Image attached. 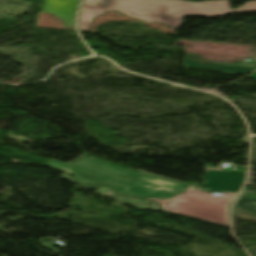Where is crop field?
<instances>
[{
	"instance_id": "obj_1",
	"label": "crop field",
	"mask_w": 256,
	"mask_h": 256,
	"mask_svg": "<svg viewBox=\"0 0 256 256\" xmlns=\"http://www.w3.org/2000/svg\"><path fill=\"white\" fill-rule=\"evenodd\" d=\"M45 165L69 173L78 183L114 184L125 189L121 195L167 200L164 211L229 226V206L235 193L218 197L195 189L185 193L188 185L136 175L85 156L68 165L54 160Z\"/></svg>"
},
{
	"instance_id": "obj_2",
	"label": "crop field",
	"mask_w": 256,
	"mask_h": 256,
	"mask_svg": "<svg viewBox=\"0 0 256 256\" xmlns=\"http://www.w3.org/2000/svg\"><path fill=\"white\" fill-rule=\"evenodd\" d=\"M108 10L147 23L160 22L175 29L183 22V16L216 17L233 12H252L256 11V1L247 2L237 10H230L229 1L189 3L182 0H84L78 20L79 28L88 31L92 18Z\"/></svg>"
},
{
	"instance_id": "obj_3",
	"label": "crop field",
	"mask_w": 256,
	"mask_h": 256,
	"mask_svg": "<svg viewBox=\"0 0 256 256\" xmlns=\"http://www.w3.org/2000/svg\"><path fill=\"white\" fill-rule=\"evenodd\" d=\"M245 172L206 171L207 186L211 191L237 192Z\"/></svg>"
},
{
	"instance_id": "obj_4",
	"label": "crop field",
	"mask_w": 256,
	"mask_h": 256,
	"mask_svg": "<svg viewBox=\"0 0 256 256\" xmlns=\"http://www.w3.org/2000/svg\"><path fill=\"white\" fill-rule=\"evenodd\" d=\"M78 2L79 0H46L42 12L53 14L59 19H63L65 27H74L73 21Z\"/></svg>"
},
{
	"instance_id": "obj_5",
	"label": "crop field",
	"mask_w": 256,
	"mask_h": 256,
	"mask_svg": "<svg viewBox=\"0 0 256 256\" xmlns=\"http://www.w3.org/2000/svg\"><path fill=\"white\" fill-rule=\"evenodd\" d=\"M235 207L249 211L256 215V194L244 189Z\"/></svg>"
},
{
	"instance_id": "obj_6",
	"label": "crop field",
	"mask_w": 256,
	"mask_h": 256,
	"mask_svg": "<svg viewBox=\"0 0 256 256\" xmlns=\"http://www.w3.org/2000/svg\"><path fill=\"white\" fill-rule=\"evenodd\" d=\"M143 199H144V198H143ZM148 200H151V201H154V202H157V203L161 204V205H162V208H163V203L165 202V201H163V200H154V199H148Z\"/></svg>"
},
{
	"instance_id": "obj_7",
	"label": "crop field",
	"mask_w": 256,
	"mask_h": 256,
	"mask_svg": "<svg viewBox=\"0 0 256 256\" xmlns=\"http://www.w3.org/2000/svg\"><path fill=\"white\" fill-rule=\"evenodd\" d=\"M250 77H252V78L256 79V73H254V74L250 75Z\"/></svg>"
},
{
	"instance_id": "obj_8",
	"label": "crop field",
	"mask_w": 256,
	"mask_h": 256,
	"mask_svg": "<svg viewBox=\"0 0 256 256\" xmlns=\"http://www.w3.org/2000/svg\"><path fill=\"white\" fill-rule=\"evenodd\" d=\"M32 1H39V2H44L45 0H32Z\"/></svg>"
}]
</instances>
